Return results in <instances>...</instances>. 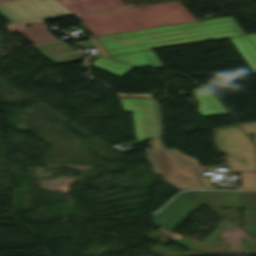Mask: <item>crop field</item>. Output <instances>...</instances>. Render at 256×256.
Listing matches in <instances>:
<instances>
[{
	"label": "crop field",
	"mask_w": 256,
	"mask_h": 256,
	"mask_svg": "<svg viewBox=\"0 0 256 256\" xmlns=\"http://www.w3.org/2000/svg\"><path fill=\"white\" fill-rule=\"evenodd\" d=\"M243 34L232 16L97 37L109 55Z\"/></svg>",
	"instance_id": "8a807250"
},
{
	"label": "crop field",
	"mask_w": 256,
	"mask_h": 256,
	"mask_svg": "<svg viewBox=\"0 0 256 256\" xmlns=\"http://www.w3.org/2000/svg\"><path fill=\"white\" fill-rule=\"evenodd\" d=\"M78 17L95 36L197 20L179 1Z\"/></svg>",
	"instance_id": "ac0d7876"
},
{
	"label": "crop field",
	"mask_w": 256,
	"mask_h": 256,
	"mask_svg": "<svg viewBox=\"0 0 256 256\" xmlns=\"http://www.w3.org/2000/svg\"><path fill=\"white\" fill-rule=\"evenodd\" d=\"M216 143L230 172L256 171L252 142L238 126L216 130Z\"/></svg>",
	"instance_id": "34b2d1b8"
},
{
	"label": "crop field",
	"mask_w": 256,
	"mask_h": 256,
	"mask_svg": "<svg viewBox=\"0 0 256 256\" xmlns=\"http://www.w3.org/2000/svg\"><path fill=\"white\" fill-rule=\"evenodd\" d=\"M71 15L54 0H18L0 3V16L9 23Z\"/></svg>",
	"instance_id": "412701ff"
},
{
	"label": "crop field",
	"mask_w": 256,
	"mask_h": 256,
	"mask_svg": "<svg viewBox=\"0 0 256 256\" xmlns=\"http://www.w3.org/2000/svg\"><path fill=\"white\" fill-rule=\"evenodd\" d=\"M121 101L126 111H132L137 140L159 136L155 106L150 98Z\"/></svg>",
	"instance_id": "f4fd0767"
},
{
	"label": "crop field",
	"mask_w": 256,
	"mask_h": 256,
	"mask_svg": "<svg viewBox=\"0 0 256 256\" xmlns=\"http://www.w3.org/2000/svg\"><path fill=\"white\" fill-rule=\"evenodd\" d=\"M200 205L185 194H178L172 202L155 214V225L172 231Z\"/></svg>",
	"instance_id": "dd49c442"
},
{
	"label": "crop field",
	"mask_w": 256,
	"mask_h": 256,
	"mask_svg": "<svg viewBox=\"0 0 256 256\" xmlns=\"http://www.w3.org/2000/svg\"><path fill=\"white\" fill-rule=\"evenodd\" d=\"M167 175L162 178L179 189H200L192 164L163 150Z\"/></svg>",
	"instance_id": "e52e79f7"
},
{
	"label": "crop field",
	"mask_w": 256,
	"mask_h": 256,
	"mask_svg": "<svg viewBox=\"0 0 256 256\" xmlns=\"http://www.w3.org/2000/svg\"><path fill=\"white\" fill-rule=\"evenodd\" d=\"M75 14L125 7L121 0H59ZM66 7V8H67Z\"/></svg>",
	"instance_id": "d8731c3e"
},
{
	"label": "crop field",
	"mask_w": 256,
	"mask_h": 256,
	"mask_svg": "<svg viewBox=\"0 0 256 256\" xmlns=\"http://www.w3.org/2000/svg\"><path fill=\"white\" fill-rule=\"evenodd\" d=\"M24 24L30 25L36 34L30 31ZM12 27L33 44L57 41V39L48 32V28L40 21L12 25Z\"/></svg>",
	"instance_id": "5a996713"
},
{
	"label": "crop field",
	"mask_w": 256,
	"mask_h": 256,
	"mask_svg": "<svg viewBox=\"0 0 256 256\" xmlns=\"http://www.w3.org/2000/svg\"><path fill=\"white\" fill-rule=\"evenodd\" d=\"M239 206L245 208L244 231L256 237V192H241Z\"/></svg>",
	"instance_id": "3316defc"
},
{
	"label": "crop field",
	"mask_w": 256,
	"mask_h": 256,
	"mask_svg": "<svg viewBox=\"0 0 256 256\" xmlns=\"http://www.w3.org/2000/svg\"><path fill=\"white\" fill-rule=\"evenodd\" d=\"M230 39L249 66L256 72V34L231 37Z\"/></svg>",
	"instance_id": "28ad6ade"
},
{
	"label": "crop field",
	"mask_w": 256,
	"mask_h": 256,
	"mask_svg": "<svg viewBox=\"0 0 256 256\" xmlns=\"http://www.w3.org/2000/svg\"><path fill=\"white\" fill-rule=\"evenodd\" d=\"M199 100L198 112L202 116H214L228 114L218 99L212 97L202 88L194 89Z\"/></svg>",
	"instance_id": "d1516ede"
},
{
	"label": "crop field",
	"mask_w": 256,
	"mask_h": 256,
	"mask_svg": "<svg viewBox=\"0 0 256 256\" xmlns=\"http://www.w3.org/2000/svg\"><path fill=\"white\" fill-rule=\"evenodd\" d=\"M111 58L136 66H155L163 68L152 50L113 56Z\"/></svg>",
	"instance_id": "22f410ed"
},
{
	"label": "crop field",
	"mask_w": 256,
	"mask_h": 256,
	"mask_svg": "<svg viewBox=\"0 0 256 256\" xmlns=\"http://www.w3.org/2000/svg\"><path fill=\"white\" fill-rule=\"evenodd\" d=\"M90 65L120 77L125 75L129 70H131L134 67L119 62H115L109 59L108 57L96 59Z\"/></svg>",
	"instance_id": "cbeb9de0"
},
{
	"label": "crop field",
	"mask_w": 256,
	"mask_h": 256,
	"mask_svg": "<svg viewBox=\"0 0 256 256\" xmlns=\"http://www.w3.org/2000/svg\"><path fill=\"white\" fill-rule=\"evenodd\" d=\"M226 191H186L189 197L206 207H214Z\"/></svg>",
	"instance_id": "5142ce71"
},
{
	"label": "crop field",
	"mask_w": 256,
	"mask_h": 256,
	"mask_svg": "<svg viewBox=\"0 0 256 256\" xmlns=\"http://www.w3.org/2000/svg\"><path fill=\"white\" fill-rule=\"evenodd\" d=\"M147 162L151 164L152 173L165 176V165L162 150H146Z\"/></svg>",
	"instance_id": "d9b57169"
},
{
	"label": "crop field",
	"mask_w": 256,
	"mask_h": 256,
	"mask_svg": "<svg viewBox=\"0 0 256 256\" xmlns=\"http://www.w3.org/2000/svg\"><path fill=\"white\" fill-rule=\"evenodd\" d=\"M242 189L256 190V173H241Z\"/></svg>",
	"instance_id": "733c2abd"
},
{
	"label": "crop field",
	"mask_w": 256,
	"mask_h": 256,
	"mask_svg": "<svg viewBox=\"0 0 256 256\" xmlns=\"http://www.w3.org/2000/svg\"><path fill=\"white\" fill-rule=\"evenodd\" d=\"M221 228H216L204 241L208 245L224 250L229 244L215 240L214 238L222 231Z\"/></svg>",
	"instance_id": "4a817a6b"
},
{
	"label": "crop field",
	"mask_w": 256,
	"mask_h": 256,
	"mask_svg": "<svg viewBox=\"0 0 256 256\" xmlns=\"http://www.w3.org/2000/svg\"><path fill=\"white\" fill-rule=\"evenodd\" d=\"M174 241L186 248H197V249H201V250L208 251V252L216 251V249L193 242V241L185 239V238H181V239L174 240Z\"/></svg>",
	"instance_id": "bc2a9ffb"
},
{
	"label": "crop field",
	"mask_w": 256,
	"mask_h": 256,
	"mask_svg": "<svg viewBox=\"0 0 256 256\" xmlns=\"http://www.w3.org/2000/svg\"><path fill=\"white\" fill-rule=\"evenodd\" d=\"M198 173L201 177L202 185L204 189H213L212 184L209 183L207 177H205L202 173L205 171V169H202L200 167H197Z\"/></svg>",
	"instance_id": "214f88e0"
},
{
	"label": "crop field",
	"mask_w": 256,
	"mask_h": 256,
	"mask_svg": "<svg viewBox=\"0 0 256 256\" xmlns=\"http://www.w3.org/2000/svg\"><path fill=\"white\" fill-rule=\"evenodd\" d=\"M240 125L247 132L248 135H251V134H253V132H256V121L248 122V123H242Z\"/></svg>",
	"instance_id": "92a150f3"
},
{
	"label": "crop field",
	"mask_w": 256,
	"mask_h": 256,
	"mask_svg": "<svg viewBox=\"0 0 256 256\" xmlns=\"http://www.w3.org/2000/svg\"><path fill=\"white\" fill-rule=\"evenodd\" d=\"M170 151L173 152L175 155H177V156H179V157H181V158H183V159H185V160H187V161H189V162H191V163L197 164V162H196L195 159H193V158H191V157H189V156H186V155L182 154V153H181L180 151H178L177 149H172V150H170Z\"/></svg>",
	"instance_id": "dafd665d"
},
{
	"label": "crop field",
	"mask_w": 256,
	"mask_h": 256,
	"mask_svg": "<svg viewBox=\"0 0 256 256\" xmlns=\"http://www.w3.org/2000/svg\"><path fill=\"white\" fill-rule=\"evenodd\" d=\"M151 143H152V147L153 148L161 147V145H160V138H156L154 140H151Z\"/></svg>",
	"instance_id": "00972430"
},
{
	"label": "crop field",
	"mask_w": 256,
	"mask_h": 256,
	"mask_svg": "<svg viewBox=\"0 0 256 256\" xmlns=\"http://www.w3.org/2000/svg\"><path fill=\"white\" fill-rule=\"evenodd\" d=\"M255 145H256V133H254Z\"/></svg>",
	"instance_id": "a9b5d70f"
},
{
	"label": "crop field",
	"mask_w": 256,
	"mask_h": 256,
	"mask_svg": "<svg viewBox=\"0 0 256 256\" xmlns=\"http://www.w3.org/2000/svg\"><path fill=\"white\" fill-rule=\"evenodd\" d=\"M1 1H9V0H0V2H1Z\"/></svg>",
	"instance_id": "4177f3b9"
}]
</instances>
